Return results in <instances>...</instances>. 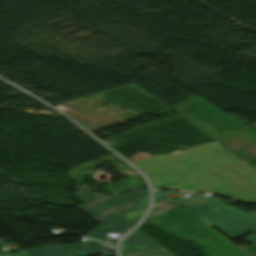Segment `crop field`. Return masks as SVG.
Listing matches in <instances>:
<instances>
[{
  "label": "crop field",
  "instance_id": "412701ff",
  "mask_svg": "<svg viewBox=\"0 0 256 256\" xmlns=\"http://www.w3.org/2000/svg\"><path fill=\"white\" fill-rule=\"evenodd\" d=\"M124 218L135 224L148 207V192L137 187L115 199L105 194L97 197Z\"/></svg>",
  "mask_w": 256,
  "mask_h": 256
},
{
  "label": "crop field",
  "instance_id": "dd49c442",
  "mask_svg": "<svg viewBox=\"0 0 256 256\" xmlns=\"http://www.w3.org/2000/svg\"><path fill=\"white\" fill-rule=\"evenodd\" d=\"M155 247L160 245L137 228L122 241L120 252L123 254Z\"/></svg>",
  "mask_w": 256,
  "mask_h": 256
},
{
  "label": "crop field",
  "instance_id": "f4fd0767",
  "mask_svg": "<svg viewBox=\"0 0 256 256\" xmlns=\"http://www.w3.org/2000/svg\"><path fill=\"white\" fill-rule=\"evenodd\" d=\"M33 256H91L100 254L104 256L111 255V253L97 241L74 245V246H46L43 248L29 250Z\"/></svg>",
  "mask_w": 256,
  "mask_h": 256
},
{
  "label": "crop field",
  "instance_id": "e52e79f7",
  "mask_svg": "<svg viewBox=\"0 0 256 256\" xmlns=\"http://www.w3.org/2000/svg\"><path fill=\"white\" fill-rule=\"evenodd\" d=\"M154 197H155V201L153 204V208L151 209L146 220L179 206V204H177L174 200H172L170 197H168L161 191H155Z\"/></svg>",
  "mask_w": 256,
  "mask_h": 256
},
{
  "label": "crop field",
  "instance_id": "34b2d1b8",
  "mask_svg": "<svg viewBox=\"0 0 256 256\" xmlns=\"http://www.w3.org/2000/svg\"><path fill=\"white\" fill-rule=\"evenodd\" d=\"M75 188L78 190L76 196L86 202V204L78 207L103 222L99 228L88 236L103 241L109 237L107 234L111 231L124 235L125 232L133 228V224L100 202L87 191L79 186H76Z\"/></svg>",
  "mask_w": 256,
  "mask_h": 256
},
{
  "label": "crop field",
  "instance_id": "d8731c3e",
  "mask_svg": "<svg viewBox=\"0 0 256 256\" xmlns=\"http://www.w3.org/2000/svg\"><path fill=\"white\" fill-rule=\"evenodd\" d=\"M236 247H238L248 256H256V247H251V246H236Z\"/></svg>",
  "mask_w": 256,
  "mask_h": 256
},
{
  "label": "crop field",
  "instance_id": "8a807250",
  "mask_svg": "<svg viewBox=\"0 0 256 256\" xmlns=\"http://www.w3.org/2000/svg\"><path fill=\"white\" fill-rule=\"evenodd\" d=\"M132 163L155 189L212 192L256 203V169L216 141L187 152L150 156Z\"/></svg>",
  "mask_w": 256,
  "mask_h": 256
},
{
  "label": "crop field",
  "instance_id": "5a996713",
  "mask_svg": "<svg viewBox=\"0 0 256 256\" xmlns=\"http://www.w3.org/2000/svg\"><path fill=\"white\" fill-rule=\"evenodd\" d=\"M0 256H32V255L26 252L25 249L21 248L19 252H14L9 254L0 253Z\"/></svg>",
  "mask_w": 256,
  "mask_h": 256
},
{
  "label": "crop field",
  "instance_id": "ac0d7876",
  "mask_svg": "<svg viewBox=\"0 0 256 256\" xmlns=\"http://www.w3.org/2000/svg\"><path fill=\"white\" fill-rule=\"evenodd\" d=\"M176 202L206 225L215 226L231 238L247 234L246 230L251 231L255 235L245 240L256 246V211L247 214L229 207L218 198L202 197L193 193L187 199L180 198Z\"/></svg>",
  "mask_w": 256,
  "mask_h": 256
}]
</instances>
